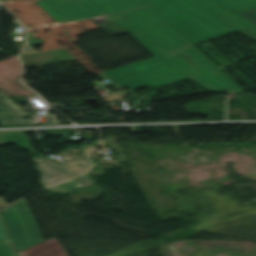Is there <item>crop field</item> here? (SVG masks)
<instances>
[{"label":"crop field","mask_w":256,"mask_h":256,"mask_svg":"<svg viewBox=\"0 0 256 256\" xmlns=\"http://www.w3.org/2000/svg\"><path fill=\"white\" fill-rule=\"evenodd\" d=\"M6 205H8L4 200H2L1 198H0V208H2V207H4V206H6Z\"/></svg>","instance_id":"obj_16"},{"label":"crop field","mask_w":256,"mask_h":256,"mask_svg":"<svg viewBox=\"0 0 256 256\" xmlns=\"http://www.w3.org/2000/svg\"><path fill=\"white\" fill-rule=\"evenodd\" d=\"M1 135H2V133H0V138H1Z\"/></svg>","instance_id":"obj_17"},{"label":"crop field","mask_w":256,"mask_h":256,"mask_svg":"<svg viewBox=\"0 0 256 256\" xmlns=\"http://www.w3.org/2000/svg\"><path fill=\"white\" fill-rule=\"evenodd\" d=\"M19 253L20 256H68L57 238L36 244Z\"/></svg>","instance_id":"obj_5"},{"label":"crop field","mask_w":256,"mask_h":256,"mask_svg":"<svg viewBox=\"0 0 256 256\" xmlns=\"http://www.w3.org/2000/svg\"><path fill=\"white\" fill-rule=\"evenodd\" d=\"M26 120V116L5 115L0 114V122L2 125H22ZM28 126L37 125L38 122H25Z\"/></svg>","instance_id":"obj_9"},{"label":"crop field","mask_w":256,"mask_h":256,"mask_svg":"<svg viewBox=\"0 0 256 256\" xmlns=\"http://www.w3.org/2000/svg\"><path fill=\"white\" fill-rule=\"evenodd\" d=\"M32 159L31 161L37 164L34 168L41 173L38 177L40 178V185L42 187L76 175L84 174L80 169L90 165V162L85 157L61 162L59 164L51 162L43 156Z\"/></svg>","instance_id":"obj_4"},{"label":"crop field","mask_w":256,"mask_h":256,"mask_svg":"<svg viewBox=\"0 0 256 256\" xmlns=\"http://www.w3.org/2000/svg\"><path fill=\"white\" fill-rule=\"evenodd\" d=\"M0 111L8 113H22L18 105L0 92Z\"/></svg>","instance_id":"obj_10"},{"label":"crop field","mask_w":256,"mask_h":256,"mask_svg":"<svg viewBox=\"0 0 256 256\" xmlns=\"http://www.w3.org/2000/svg\"><path fill=\"white\" fill-rule=\"evenodd\" d=\"M76 180H78L80 182V183L75 184L76 190L86 187L89 183H91V181L86 176L76 178Z\"/></svg>","instance_id":"obj_12"},{"label":"crop field","mask_w":256,"mask_h":256,"mask_svg":"<svg viewBox=\"0 0 256 256\" xmlns=\"http://www.w3.org/2000/svg\"><path fill=\"white\" fill-rule=\"evenodd\" d=\"M58 23L101 16L110 36L129 33L155 58L104 72L129 89L158 87L191 78L212 92H243L171 24L139 0H42L36 2ZM45 11V12H46Z\"/></svg>","instance_id":"obj_1"},{"label":"crop field","mask_w":256,"mask_h":256,"mask_svg":"<svg viewBox=\"0 0 256 256\" xmlns=\"http://www.w3.org/2000/svg\"><path fill=\"white\" fill-rule=\"evenodd\" d=\"M240 15H242L245 18H247V19L253 21L254 23H256V10L250 11V12H246V13H242Z\"/></svg>","instance_id":"obj_15"},{"label":"crop field","mask_w":256,"mask_h":256,"mask_svg":"<svg viewBox=\"0 0 256 256\" xmlns=\"http://www.w3.org/2000/svg\"><path fill=\"white\" fill-rule=\"evenodd\" d=\"M78 181H76L75 179L48 187V189H50L51 191H60V192H65L68 193L74 189L73 184L77 183Z\"/></svg>","instance_id":"obj_11"},{"label":"crop field","mask_w":256,"mask_h":256,"mask_svg":"<svg viewBox=\"0 0 256 256\" xmlns=\"http://www.w3.org/2000/svg\"><path fill=\"white\" fill-rule=\"evenodd\" d=\"M194 44L238 31L256 40V25L210 0H142Z\"/></svg>","instance_id":"obj_2"},{"label":"crop field","mask_w":256,"mask_h":256,"mask_svg":"<svg viewBox=\"0 0 256 256\" xmlns=\"http://www.w3.org/2000/svg\"><path fill=\"white\" fill-rule=\"evenodd\" d=\"M4 143L16 144L19 147L34 153L35 151L31 148L30 139L24 135L23 132L5 133L3 140H0V145Z\"/></svg>","instance_id":"obj_7"},{"label":"crop field","mask_w":256,"mask_h":256,"mask_svg":"<svg viewBox=\"0 0 256 256\" xmlns=\"http://www.w3.org/2000/svg\"><path fill=\"white\" fill-rule=\"evenodd\" d=\"M228 9L238 13L256 8V0H214Z\"/></svg>","instance_id":"obj_8"},{"label":"crop field","mask_w":256,"mask_h":256,"mask_svg":"<svg viewBox=\"0 0 256 256\" xmlns=\"http://www.w3.org/2000/svg\"><path fill=\"white\" fill-rule=\"evenodd\" d=\"M1 214L18 251L44 241L25 200L6 207Z\"/></svg>","instance_id":"obj_3"},{"label":"crop field","mask_w":256,"mask_h":256,"mask_svg":"<svg viewBox=\"0 0 256 256\" xmlns=\"http://www.w3.org/2000/svg\"><path fill=\"white\" fill-rule=\"evenodd\" d=\"M91 148L92 147L89 146V145L80 147L79 149L82 151V153L80 151L76 150V149H73V148H68L67 151H70V152H73V153H81V154L86 155Z\"/></svg>","instance_id":"obj_13"},{"label":"crop field","mask_w":256,"mask_h":256,"mask_svg":"<svg viewBox=\"0 0 256 256\" xmlns=\"http://www.w3.org/2000/svg\"><path fill=\"white\" fill-rule=\"evenodd\" d=\"M0 256H18L0 215Z\"/></svg>","instance_id":"obj_6"},{"label":"crop field","mask_w":256,"mask_h":256,"mask_svg":"<svg viewBox=\"0 0 256 256\" xmlns=\"http://www.w3.org/2000/svg\"><path fill=\"white\" fill-rule=\"evenodd\" d=\"M44 117H46L47 123H42V125H60V123L55 120V116L46 115Z\"/></svg>","instance_id":"obj_14"},{"label":"crop field","mask_w":256,"mask_h":256,"mask_svg":"<svg viewBox=\"0 0 256 256\" xmlns=\"http://www.w3.org/2000/svg\"><path fill=\"white\" fill-rule=\"evenodd\" d=\"M1 1V0H0Z\"/></svg>","instance_id":"obj_18"}]
</instances>
